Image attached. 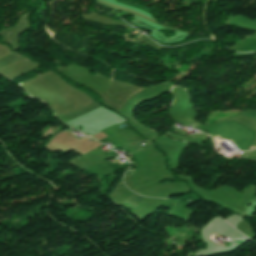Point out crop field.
I'll return each instance as SVG.
<instances>
[{
	"instance_id": "ac0d7876",
	"label": "crop field",
	"mask_w": 256,
	"mask_h": 256,
	"mask_svg": "<svg viewBox=\"0 0 256 256\" xmlns=\"http://www.w3.org/2000/svg\"><path fill=\"white\" fill-rule=\"evenodd\" d=\"M251 149H256V147H254V146H251L249 150H251Z\"/></svg>"
},
{
	"instance_id": "8a807250",
	"label": "crop field",
	"mask_w": 256,
	"mask_h": 256,
	"mask_svg": "<svg viewBox=\"0 0 256 256\" xmlns=\"http://www.w3.org/2000/svg\"><path fill=\"white\" fill-rule=\"evenodd\" d=\"M242 114H247V115L256 119V111H254V112H243Z\"/></svg>"
}]
</instances>
